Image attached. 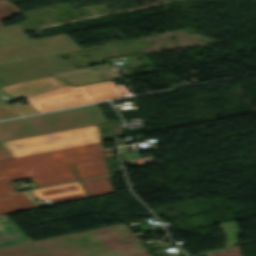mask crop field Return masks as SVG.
<instances>
[{
    "label": "crop field",
    "instance_id": "8a807250",
    "mask_svg": "<svg viewBox=\"0 0 256 256\" xmlns=\"http://www.w3.org/2000/svg\"><path fill=\"white\" fill-rule=\"evenodd\" d=\"M3 144L14 158L0 161V178H31L38 188L77 181L71 164L104 158L97 125Z\"/></svg>",
    "mask_w": 256,
    "mask_h": 256
},
{
    "label": "crop field",
    "instance_id": "ac0d7876",
    "mask_svg": "<svg viewBox=\"0 0 256 256\" xmlns=\"http://www.w3.org/2000/svg\"><path fill=\"white\" fill-rule=\"evenodd\" d=\"M139 241L124 225L0 248V256H73Z\"/></svg>",
    "mask_w": 256,
    "mask_h": 256
},
{
    "label": "crop field",
    "instance_id": "34b2d1b8",
    "mask_svg": "<svg viewBox=\"0 0 256 256\" xmlns=\"http://www.w3.org/2000/svg\"><path fill=\"white\" fill-rule=\"evenodd\" d=\"M106 122L96 104L55 111L0 122V142Z\"/></svg>",
    "mask_w": 256,
    "mask_h": 256
},
{
    "label": "crop field",
    "instance_id": "412701ff",
    "mask_svg": "<svg viewBox=\"0 0 256 256\" xmlns=\"http://www.w3.org/2000/svg\"><path fill=\"white\" fill-rule=\"evenodd\" d=\"M122 97L113 81L73 87L69 84L27 98L39 112Z\"/></svg>",
    "mask_w": 256,
    "mask_h": 256
},
{
    "label": "crop field",
    "instance_id": "f4fd0767",
    "mask_svg": "<svg viewBox=\"0 0 256 256\" xmlns=\"http://www.w3.org/2000/svg\"><path fill=\"white\" fill-rule=\"evenodd\" d=\"M80 49L65 33L30 40L24 33L0 38V64Z\"/></svg>",
    "mask_w": 256,
    "mask_h": 256
},
{
    "label": "crop field",
    "instance_id": "dd49c442",
    "mask_svg": "<svg viewBox=\"0 0 256 256\" xmlns=\"http://www.w3.org/2000/svg\"><path fill=\"white\" fill-rule=\"evenodd\" d=\"M74 68L57 55L0 65V86L27 81Z\"/></svg>",
    "mask_w": 256,
    "mask_h": 256
},
{
    "label": "crop field",
    "instance_id": "e52e79f7",
    "mask_svg": "<svg viewBox=\"0 0 256 256\" xmlns=\"http://www.w3.org/2000/svg\"><path fill=\"white\" fill-rule=\"evenodd\" d=\"M64 84L66 83L53 76H49L2 88L16 99H21L36 95L47 90H51Z\"/></svg>",
    "mask_w": 256,
    "mask_h": 256
},
{
    "label": "crop field",
    "instance_id": "d8731c3e",
    "mask_svg": "<svg viewBox=\"0 0 256 256\" xmlns=\"http://www.w3.org/2000/svg\"><path fill=\"white\" fill-rule=\"evenodd\" d=\"M39 200L52 204L86 197L79 182L32 191Z\"/></svg>",
    "mask_w": 256,
    "mask_h": 256
},
{
    "label": "crop field",
    "instance_id": "5a996713",
    "mask_svg": "<svg viewBox=\"0 0 256 256\" xmlns=\"http://www.w3.org/2000/svg\"><path fill=\"white\" fill-rule=\"evenodd\" d=\"M29 241L5 215L0 216V247Z\"/></svg>",
    "mask_w": 256,
    "mask_h": 256
},
{
    "label": "crop field",
    "instance_id": "3316defc",
    "mask_svg": "<svg viewBox=\"0 0 256 256\" xmlns=\"http://www.w3.org/2000/svg\"><path fill=\"white\" fill-rule=\"evenodd\" d=\"M35 208L23 193L0 197V215Z\"/></svg>",
    "mask_w": 256,
    "mask_h": 256
},
{
    "label": "crop field",
    "instance_id": "28ad6ade",
    "mask_svg": "<svg viewBox=\"0 0 256 256\" xmlns=\"http://www.w3.org/2000/svg\"><path fill=\"white\" fill-rule=\"evenodd\" d=\"M148 252L139 242L123 245L119 247H111L77 256H132Z\"/></svg>",
    "mask_w": 256,
    "mask_h": 256
},
{
    "label": "crop field",
    "instance_id": "d1516ede",
    "mask_svg": "<svg viewBox=\"0 0 256 256\" xmlns=\"http://www.w3.org/2000/svg\"><path fill=\"white\" fill-rule=\"evenodd\" d=\"M74 167L81 180L109 174L104 159L75 164Z\"/></svg>",
    "mask_w": 256,
    "mask_h": 256
},
{
    "label": "crop field",
    "instance_id": "22f410ed",
    "mask_svg": "<svg viewBox=\"0 0 256 256\" xmlns=\"http://www.w3.org/2000/svg\"><path fill=\"white\" fill-rule=\"evenodd\" d=\"M81 183L88 197L114 192L108 177Z\"/></svg>",
    "mask_w": 256,
    "mask_h": 256
},
{
    "label": "crop field",
    "instance_id": "cbeb9de0",
    "mask_svg": "<svg viewBox=\"0 0 256 256\" xmlns=\"http://www.w3.org/2000/svg\"><path fill=\"white\" fill-rule=\"evenodd\" d=\"M219 225L227 239V241L225 242L226 247L236 244L237 243L236 238L239 234L236 222L233 221V222L221 223Z\"/></svg>",
    "mask_w": 256,
    "mask_h": 256
},
{
    "label": "crop field",
    "instance_id": "5142ce71",
    "mask_svg": "<svg viewBox=\"0 0 256 256\" xmlns=\"http://www.w3.org/2000/svg\"><path fill=\"white\" fill-rule=\"evenodd\" d=\"M21 14L12 4L5 0H0V20L10 18V15ZM0 27L1 24H0Z\"/></svg>",
    "mask_w": 256,
    "mask_h": 256
},
{
    "label": "crop field",
    "instance_id": "d9b57169",
    "mask_svg": "<svg viewBox=\"0 0 256 256\" xmlns=\"http://www.w3.org/2000/svg\"><path fill=\"white\" fill-rule=\"evenodd\" d=\"M20 114L12 105H0V120L7 119L15 116H19Z\"/></svg>",
    "mask_w": 256,
    "mask_h": 256
},
{
    "label": "crop field",
    "instance_id": "733c2abd",
    "mask_svg": "<svg viewBox=\"0 0 256 256\" xmlns=\"http://www.w3.org/2000/svg\"><path fill=\"white\" fill-rule=\"evenodd\" d=\"M17 32H24V30L21 28L19 24L11 25V26H5L3 28H0V37L17 33Z\"/></svg>",
    "mask_w": 256,
    "mask_h": 256
},
{
    "label": "crop field",
    "instance_id": "4a817a6b",
    "mask_svg": "<svg viewBox=\"0 0 256 256\" xmlns=\"http://www.w3.org/2000/svg\"><path fill=\"white\" fill-rule=\"evenodd\" d=\"M16 191L12 188V186L4 179H0V195L15 193Z\"/></svg>",
    "mask_w": 256,
    "mask_h": 256
},
{
    "label": "crop field",
    "instance_id": "bc2a9ffb",
    "mask_svg": "<svg viewBox=\"0 0 256 256\" xmlns=\"http://www.w3.org/2000/svg\"><path fill=\"white\" fill-rule=\"evenodd\" d=\"M17 108L23 115L37 113L30 104L20 105Z\"/></svg>",
    "mask_w": 256,
    "mask_h": 256
},
{
    "label": "crop field",
    "instance_id": "214f88e0",
    "mask_svg": "<svg viewBox=\"0 0 256 256\" xmlns=\"http://www.w3.org/2000/svg\"><path fill=\"white\" fill-rule=\"evenodd\" d=\"M12 100H14V98L0 88V104L9 103Z\"/></svg>",
    "mask_w": 256,
    "mask_h": 256
},
{
    "label": "crop field",
    "instance_id": "92a150f3",
    "mask_svg": "<svg viewBox=\"0 0 256 256\" xmlns=\"http://www.w3.org/2000/svg\"><path fill=\"white\" fill-rule=\"evenodd\" d=\"M13 156V155H12ZM11 154L7 151V149L3 146L2 143H0V160L11 158Z\"/></svg>",
    "mask_w": 256,
    "mask_h": 256
},
{
    "label": "crop field",
    "instance_id": "dafd665d",
    "mask_svg": "<svg viewBox=\"0 0 256 256\" xmlns=\"http://www.w3.org/2000/svg\"><path fill=\"white\" fill-rule=\"evenodd\" d=\"M125 157L127 160H129V159L137 158L139 157V155L136 152H134V153L125 155Z\"/></svg>",
    "mask_w": 256,
    "mask_h": 256
},
{
    "label": "crop field",
    "instance_id": "00972430",
    "mask_svg": "<svg viewBox=\"0 0 256 256\" xmlns=\"http://www.w3.org/2000/svg\"><path fill=\"white\" fill-rule=\"evenodd\" d=\"M137 256H152L149 252L146 254H142V255H137Z\"/></svg>",
    "mask_w": 256,
    "mask_h": 256
},
{
    "label": "crop field",
    "instance_id": "a9b5d70f",
    "mask_svg": "<svg viewBox=\"0 0 256 256\" xmlns=\"http://www.w3.org/2000/svg\"><path fill=\"white\" fill-rule=\"evenodd\" d=\"M76 72H79V71H76ZM71 73H75V72H71ZM71 73L62 74V76L67 75V74H71Z\"/></svg>",
    "mask_w": 256,
    "mask_h": 256
}]
</instances>
